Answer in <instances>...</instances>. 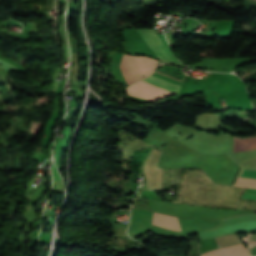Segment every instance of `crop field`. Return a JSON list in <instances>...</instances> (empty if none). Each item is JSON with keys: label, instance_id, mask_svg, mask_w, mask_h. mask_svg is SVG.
I'll list each match as a JSON object with an SVG mask.
<instances>
[{"label": "crop field", "instance_id": "obj_7", "mask_svg": "<svg viewBox=\"0 0 256 256\" xmlns=\"http://www.w3.org/2000/svg\"><path fill=\"white\" fill-rule=\"evenodd\" d=\"M181 170L182 169H175V181H174V169H163V175L166 176V177H168L169 171H173V174H172V172H170V176L172 174V185H170L171 184V177H169V179L163 177L164 182L170 183V184H167V183L163 182V190L171 189V187L173 186V181H174V183L176 182Z\"/></svg>", "mask_w": 256, "mask_h": 256}, {"label": "crop field", "instance_id": "obj_10", "mask_svg": "<svg viewBox=\"0 0 256 256\" xmlns=\"http://www.w3.org/2000/svg\"><path fill=\"white\" fill-rule=\"evenodd\" d=\"M241 198L256 200V196H254V195H247V194H243Z\"/></svg>", "mask_w": 256, "mask_h": 256}, {"label": "crop field", "instance_id": "obj_8", "mask_svg": "<svg viewBox=\"0 0 256 256\" xmlns=\"http://www.w3.org/2000/svg\"><path fill=\"white\" fill-rule=\"evenodd\" d=\"M241 170H240V172H241ZM240 172H239V174H240ZM239 174H238V176H239ZM234 185L256 188V180L237 178Z\"/></svg>", "mask_w": 256, "mask_h": 256}, {"label": "crop field", "instance_id": "obj_9", "mask_svg": "<svg viewBox=\"0 0 256 256\" xmlns=\"http://www.w3.org/2000/svg\"><path fill=\"white\" fill-rule=\"evenodd\" d=\"M238 165L241 166V167L256 168V161L239 163Z\"/></svg>", "mask_w": 256, "mask_h": 256}, {"label": "crop field", "instance_id": "obj_5", "mask_svg": "<svg viewBox=\"0 0 256 256\" xmlns=\"http://www.w3.org/2000/svg\"><path fill=\"white\" fill-rule=\"evenodd\" d=\"M201 256H249L244 245L239 244L202 254Z\"/></svg>", "mask_w": 256, "mask_h": 256}, {"label": "crop field", "instance_id": "obj_1", "mask_svg": "<svg viewBox=\"0 0 256 256\" xmlns=\"http://www.w3.org/2000/svg\"><path fill=\"white\" fill-rule=\"evenodd\" d=\"M176 188L189 189L183 196L174 195V199L182 200L181 204L208 206L230 209L255 210L256 201L239 199L246 189L213 184L200 169H184ZM187 190L177 189V192L186 193ZM181 193H176L184 195ZM171 203L179 204V200Z\"/></svg>", "mask_w": 256, "mask_h": 256}, {"label": "crop field", "instance_id": "obj_2", "mask_svg": "<svg viewBox=\"0 0 256 256\" xmlns=\"http://www.w3.org/2000/svg\"><path fill=\"white\" fill-rule=\"evenodd\" d=\"M139 82L147 84L149 86L155 87L157 89H160L162 91L168 92L170 94L177 93L179 91V86L174 85L172 83H169L167 81H164L162 79H159L157 77H154L152 75L140 80ZM135 83L128 87L127 92L140 98H146V99H157L160 97L169 96L170 94L162 92L160 90L154 89L152 87H149L147 85L141 84V83Z\"/></svg>", "mask_w": 256, "mask_h": 256}, {"label": "crop field", "instance_id": "obj_3", "mask_svg": "<svg viewBox=\"0 0 256 256\" xmlns=\"http://www.w3.org/2000/svg\"><path fill=\"white\" fill-rule=\"evenodd\" d=\"M139 58L143 64L147 74L148 75L151 74L155 68L156 61L151 60L149 58H145V57H139ZM139 58L134 57L143 77H145V76H147V74H146ZM134 59L131 56L124 55L122 63L120 65V68H121L128 83H134L143 78Z\"/></svg>", "mask_w": 256, "mask_h": 256}, {"label": "crop field", "instance_id": "obj_4", "mask_svg": "<svg viewBox=\"0 0 256 256\" xmlns=\"http://www.w3.org/2000/svg\"><path fill=\"white\" fill-rule=\"evenodd\" d=\"M151 51L160 60L166 61L171 64L183 66L160 41L152 29H136Z\"/></svg>", "mask_w": 256, "mask_h": 256}, {"label": "crop field", "instance_id": "obj_6", "mask_svg": "<svg viewBox=\"0 0 256 256\" xmlns=\"http://www.w3.org/2000/svg\"><path fill=\"white\" fill-rule=\"evenodd\" d=\"M256 149V136L238 138L235 136L233 152Z\"/></svg>", "mask_w": 256, "mask_h": 256}]
</instances>
